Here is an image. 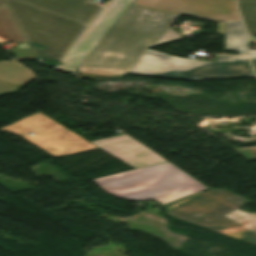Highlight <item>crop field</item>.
Returning <instances> with one entry per match:
<instances>
[{
  "label": "crop field",
  "instance_id": "crop-field-1",
  "mask_svg": "<svg viewBox=\"0 0 256 256\" xmlns=\"http://www.w3.org/2000/svg\"><path fill=\"white\" fill-rule=\"evenodd\" d=\"M180 15L131 5L77 67L82 77H124L147 48L184 39Z\"/></svg>",
  "mask_w": 256,
  "mask_h": 256
},
{
  "label": "crop field",
  "instance_id": "crop-field-2",
  "mask_svg": "<svg viewBox=\"0 0 256 256\" xmlns=\"http://www.w3.org/2000/svg\"><path fill=\"white\" fill-rule=\"evenodd\" d=\"M106 192L132 201L163 205L206 189L169 162L94 180Z\"/></svg>",
  "mask_w": 256,
  "mask_h": 256
},
{
  "label": "crop field",
  "instance_id": "crop-field-3",
  "mask_svg": "<svg viewBox=\"0 0 256 256\" xmlns=\"http://www.w3.org/2000/svg\"><path fill=\"white\" fill-rule=\"evenodd\" d=\"M35 57L59 60L86 24L19 0H4Z\"/></svg>",
  "mask_w": 256,
  "mask_h": 256
},
{
  "label": "crop field",
  "instance_id": "crop-field-4",
  "mask_svg": "<svg viewBox=\"0 0 256 256\" xmlns=\"http://www.w3.org/2000/svg\"><path fill=\"white\" fill-rule=\"evenodd\" d=\"M252 202L225 189H210L167 210L170 216L189 220L215 232L234 224L246 227L241 241L256 246V214L238 209Z\"/></svg>",
  "mask_w": 256,
  "mask_h": 256
},
{
  "label": "crop field",
  "instance_id": "crop-field-5",
  "mask_svg": "<svg viewBox=\"0 0 256 256\" xmlns=\"http://www.w3.org/2000/svg\"><path fill=\"white\" fill-rule=\"evenodd\" d=\"M129 73L189 81L253 76L245 57L217 55L215 62H206L149 49Z\"/></svg>",
  "mask_w": 256,
  "mask_h": 256
},
{
  "label": "crop field",
  "instance_id": "crop-field-6",
  "mask_svg": "<svg viewBox=\"0 0 256 256\" xmlns=\"http://www.w3.org/2000/svg\"><path fill=\"white\" fill-rule=\"evenodd\" d=\"M60 125L37 112L0 130L23 137L55 158L98 150ZM30 132L35 134L31 136Z\"/></svg>",
  "mask_w": 256,
  "mask_h": 256
},
{
  "label": "crop field",
  "instance_id": "crop-field-7",
  "mask_svg": "<svg viewBox=\"0 0 256 256\" xmlns=\"http://www.w3.org/2000/svg\"><path fill=\"white\" fill-rule=\"evenodd\" d=\"M133 4L214 22L239 19L234 0H135Z\"/></svg>",
  "mask_w": 256,
  "mask_h": 256
},
{
  "label": "crop field",
  "instance_id": "crop-field-8",
  "mask_svg": "<svg viewBox=\"0 0 256 256\" xmlns=\"http://www.w3.org/2000/svg\"><path fill=\"white\" fill-rule=\"evenodd\" d=\"M133 1L112 0L64 57L62 60L64 67L73 71Z\"/></svg>",
  "mask_w": 256,
  "mask_h": 256
},
{
  "label": "crop field",
  "instance_id": "crop-field-9",
  "mask_svg": "<svg viewBox=\"0 0 256 256\" xmlns=\"http://www.w3.org/2000/svg\"><path fill=\"white\" fill-rule=\"evenodd\" d=\"M91 143L134 169L166 162L127 134Z\"/></svg>",
  "mask_w": 256,
  "mask_h": 256
},
{
  "label": "crop field",
  "instance_id": "crop-field-10",
  "mask_svg": "<svg viewBox=\"0 0 256 256\" xmlns=\"http://www.w3.org/2000/svg\"><path fill=\"white\" fill-rule=\"evenodd\" d=\"M67 18L88 24L101 7L91 0H22Z\"/></svg>",
  "mask_w": 256,
  "mask_h": 256
},
{
  "label": "crop field",
  "instance_id": "crop-field-11",
  "mask_svg": "<svg viewBox=\"0 0 256 256\" xmlns=\"http://www.w3.org/2000/svg\"><path fill=\"white\" fill-rule=\"evenodd\" d=\"M226 50L238 51L245 55L247 37L240 21L225 23Z\"/></svg>",
  "mask_w": 256,
  "mask_h": 256
},
{
  "label": "crop field",
  "instance_id": "crop-field-12",
  "mask_svg": "<svg viewBox=\"0 0 256 256\" xmlns=\"http://www.w3.org/2000/svg\"><path fill=\"white\" fill-rule=\"evenodd\" d=\"M0 80L26 85L33 80V76L17 62H0Z\"/></svg>",
  "mask_w": 256,
  "mask_h": 256
},
{
  "label": "crop field",
  "instance_id": "crop-field-13",
  "mask_svg": "<svg viewBox=\"0 0 256 256\" xmlns=\"http://www.w3.org/2000/svg\"><path fill=\"white\" fill-rule=\"evenodd\" d=\"M24 40L8 8H0V43Z\"/></svg>",
  "mask_w": 256,
  "mask_h": 256
},
{
  "label": "crop field",
  "instance_id": "crop-field-14",
  "mask_svg": "<svg viewBox=\"0 0 256 256\" xmlns=\"http://www.w3.org/2000/svg\"><path fill=\"white\" fill-rule=\"evenodd\" d=\"M244 24L250 35H256V1H238Z\"/></svg>",
  "mask_w": 256,
  "mask_h": 256
},
{
  "label": "crop field",
  "instance_id": "crop-field-15",
  "mask_svg": "<svg viewBox=\"0 0 256 256\" xmlns=\"http://www.w3.org/2000/svg\"><path fill=\"white\" fill-rule=\"evenodd\" d=\"M244 227H240V226H233L231 228H228L226 230H223V231H220L218 233H221V234H224V235H227L229 237H232V238H235V239H240L243 231H244Z\"/></svg>",
  "mask_w": 256,
  "mask_h": 256
},
{
  "label": "crop field",
  "instance_id": "crop-field-16",
  "mask_svg": "<svg viewBox=\"0 0 256 256\" xmlns=\"http://www.w3.org/2000/svg\"><path fill=\"white\" fill-rule=\"evenodd\" d=\"M247 160L256 159V147L233 149Z\"/></svg>",
  "mask_w": 256,
  "mask_h": 256
},
{
  "label": "crop field",
  "instance_id": "crop-field-17",
  "mask_svg": "<svg viewBox=\"0 0 256 256\" xmlns=\"http://www.w3.org/2000/svg\"><path fill=\"white\" fill-rule=\"evenodd\" d=\"M21 88H23V87H21V86L9 85V84L0 82V96H1V95H6V94L16 93V92L19 91Z\"/></svg>",
  "mask_w": 256,
  "mask_h": 256
},
{
  "label": "crop field",
  "instance_id": "crop-field-18",
  "mask_svg": "<svg viewBox=\"0 0 256 256\" xmlns=\"http://www.w3.org/2000/svg\"><path fill=\"white\" fill-rule=\"evenodd\" d=\"M249 55H250V58H251V60L253 62V65H254V68H255V72H256V50H249Z\"/></svg>",
  "mask_w": 256,
  "mask_h": 256
},
{
  "label": "crop field",
  "instance_id": "crop-field-19",
  "mask_svg": "<svg viewBox=\"0 0 256 256\" xmlns=\"http://www.w3.org/2000/svg\"><path fill=\"white\" fill-rule=\"evenodd\" d=\"M220 33L224 34V23L218 24Z\"/></svg>",
  "mask_w": 256,
  "mask_h": 256
},
{
  "label": "crop field",
  "instance_id": "crop-field-20",
  "mask_svg": "<svg viewBox=\"0 0 256 256\" xmlns=\"http://www.w3.org/2000/svg\"><path fill=\"white\" fill-rule=\"evenodd\" d=\"M5 6L3 0H0V7Z\"/></svg>",
  "mask_w": 256,
  "mask_h": 256
}]
</instances>
